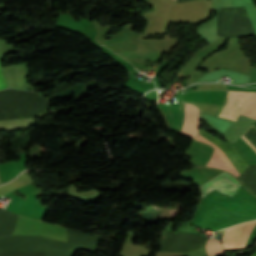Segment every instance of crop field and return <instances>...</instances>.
<instances>
[{"label": "crop field", "mask_w": 256, "mask_h": 256, "mask_svg": "<svg viewBox=\"0 0 256 256\" xmlns=\"http://www.w3.org/2000/svg\"><path fill=\"white\" fill-rule=\"evenodd\" d=\"M196 139L208 143L214 147V154L210 158L209 162L206 164L207 166L222 168L234 174L235 176L239 175L237 171L233 168V166L229 163V161L225 158V156L221 153L218 147H216L214 144H212L199 134Z\"/></svg>", "instance_id": "obj_3"}, {"label": "crop field", "mask_w": 256, "mask_h": 256, "mask_svg": "<svg viewBox=\"0 0 256 256\" xmlns=\"http://www.w3.org/2000/svg\"><path fill=\"white\" fill-rule=\"evenodd\" d=\"M7 88L4 82V79L2 77L1 71H0V89Z\"/></svg>", "instance_id": "obj_6"}, {"label": "crop field", "mask_w": 256, "mask_h": 256, "mask_svg": "<svg viewBox=\"0 0 256 256\" xmlns=\"http://www.w3.org/2000/svg\"><path fill=\"white\" fill-rule=\"evenodd\" d=\"M239 185L240 184L237 180L223 172L205 185L201 186V191L203 193L207 188H210L232 196Z\"/></svg>", "instance_id": "obj_1"}, {"label": "crop field", "mask_w": 256, "mask_h": 256, "mask_svg": "<svg viewBox=\"0 0 256 256\" xmlns=\"http://www.w3.org/2000/svg\"><path fill=\"white\" fill-rule=\"evenodd\" d=\"M199 131V109L185 103L181 133L195 138Z\"/></svg>", "instance_id": "obj_2"}, {"label": "crop field", "mask_w": 256, "mask_h": 256, "mask_svg": "<svg viewBox=\"0 0 256 256\" xmlns=\"http://www.w3.org/2000/svg\"><path fill=\"white\" fill-rule=\"evenodd\" d=\"M213 241H215V240H208V242L206 244L213 242ZM206 248H207V252H208L209 256L223 253V249L220 245L219 240L206 245Z\"/></svg>", "instance_id": "obj_5"}, {"label": "crop field", "mask_w": 256, "mask_h": 256, "mask_svg": "<svg viewBox=\"0 0 256 256\" xmlns=\"http://www.w3.org/2000/svg\"><path fill=\"white\" fill-rule=\"evenodd\" d=\"M229 93V91H228ZM242 115L256 119V92L242 112Z\"/></svg>", "instance_id": "obj_4"}]
</instances>
